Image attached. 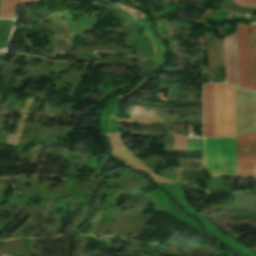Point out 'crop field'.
Returning <instances> with one entry per match:
<instances>
[{
	"instance_id": "8a807250",
	"label": "crop field",
	"mask_w": 256,
	"mask_h": 256,
	"mask_svg": "<svg viewBox=\"0 0 256 256\" xmlns=\"http://www.w3.org/2000/svg\"><path fill=\"white\" fill-rule=\"evenodd\" d=\"M207 169L212 176L238 175L234 137L205 139Z\"/></svg>"
},
{
	"instance_id": "ac0d7876",
	"label": "crop field",
	"mask_w": 256,
	"mask_h": 256,
	"mask_svg": "<svg viewBox=\"0 0 256 256\" xmlns=\"http://www.w3.org/2000/svg\"><path fill=\"white\" fill-rule=\"evenodd\" d=\"M215 137L235 134L234 87L214 84Z\"/></svg>"
},
{
	"instance_id": "34b2d1b8",
	"label": "crop field",
	"mask_w": 256,
	"mask_h": 256,
	"mask_svg": "<svg viewBox=\"0 0 256 256\" xmlns=\"http://www.w3.org/2000/svg\"><path fill=\"white\" fill-rule=\"evenodd\" d=\"M239 45L240 86L256 91L254 80V50L249 48V25H237Z\"/></svg>"
},
{
	"instance_id": "412701ff",
	"label": "crop field",
	"mask_w": 256,
	"mask_h": 256,
	"mask_svg": "<svg viewBox=\"0 0 256 256\" xmlns=\"http://www.w3.org/2000/svg\"><path fill=\"white\" fill-rule=\"evenodd\" d=\"M236 134L256 129V94L235 87Z\"/></svg>"
},
{
	"instance_id": "f4fd0767",
	"label": "crop field",
	"mask_w": 256,
	"mask_h": 256,
	"mask_svg": "<svg viewBox=\"0 0 256 256\" xmlns=\"http://www.w3.org/2000/svg\"><path fill=\"white\" fill-rule=\"evenodd\" d=\"M238 171L242 177H256V131L235 136Z\"/></svg>"
},
{
	"instance_id": "dd49c442",
	"label": "crop field",
	"mask_w": 256,
	"mask_h": 256,
	"mask_svg": "<svg viewBox=\"0 0 256 256\" xmlns=\"http://www.w3.org/2000/svg\"><path fill=\"white\" fill-rule=\"evenodd\" d=\"M226 56V82L239 86L236 34L224 38Z\"/></svg>"
},
{
	"instance_id": "e52e79f7",
	"label": "crop field",
	"mask_w": 256,
	"mask_h": 256,
	"mask_svg": "<svg viewBox=\"0 0 256 256\" xmlns=\"http://www.w3.org/2000/svg\"><path fill=\"white\" fill-rule=\"evenodd\" d=\"M202 101L204 137H214L213 84L204 85Z\"/></svg>"
},
{
	"instance_id": "d8731c3e",
	"label": "crop field",
	"mask_w": 256,
	"mask_h": 256,
	"mask_svg": "<svg viewBox=\"0 0 256 256\" xmlns=\"http://www.w3.org/2000/svg\"><path fill=\"white\" fill-rule=\"evenodd\" d=\"M32 1L35 0H0V18H15V4Z\"/></svg>"
},
{
	"instance_id": "5a996713",
	"label": "crop field",
	"mask_w": 256,
	"mask_h": 256,
	"mask_svg": "<svg viewBox=\"0 0 256 256\" xmlns=\"http://www.w3.org/2000/svg\"><path fill=\"white\" fill-rule=\"evenodd\" d=\"M13 22V20H0V50L6 45Z\"/></svg>"
},
{
	"instance_id": "3316defc",
	"label": "crop field",
	"mask_w": 256,
	"mask_h": 256,
	"mask_svg": "<svg viewBox=\"0 0 256 256\" xmlns=\"http://www.w3.org/2000/svg\"><path fill=\"white\" fill-rule=\"evenodd\" d=\"M238 5L255 7L256 8V0H234Z\"/></svg>"
},
{
	"instance_id": "28ad6ade",
	"label": "crop field",
	"mask_w": 256,
	"mask_h": 256,
	"mask_svg": "<svg viewBox=\"0 0 256 256\" xmlns=\"http://www.w3.org/2000/svg\"><path fill=\"white\" fill-rule=\"evenodd\" d=\"M251 44L256 45V25H253L252 27Z\"/></svg>"
},
{
	"instance_id": "d1516ede",
	"label": "crop field",
	"mask_w": 256,
	"mask_h": 256,
	"mask_svg": "<svg viewBox=\"0 0 256 256\" xmlns=\"http://www.w3.org/2000/svg\"><path fill=\"white\" fill-rule=\"evenodd\" d=\"M255 51H256V48H255Z\"/></svg>"
}]
</instances>
